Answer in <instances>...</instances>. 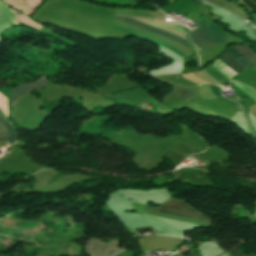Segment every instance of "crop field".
Segmentation results:
<instances>
[{"label":"crop field","instance_id":"crop-field-1","mask_svg":"<svg viewBox=\"0 0 256 256\" xmlns=\"http://www.w3.org/2000/svg\"><path fill=\"white\" fill-rule=\"evenodd\" d=\"M201 29H203L205 32L213 36L215 39H217L220 44L231 42L232 40L228 37V35L222 33L219 31L213 24L208 22L207 20L201 18L198 21H196ZM194 28L192 30H189L192 39L194 43H196L198 46L202 48V50L219 45L218 41L212 38L210 35L202 31L200 28Z\"/></svg>","mask_w":256,"mask_h":256},{"label":"crop field","instance_id":"crop-field-2","mask_svg":"<svg viewBox=\"0 0 256 256\" xmlns=\"http://www.w3.org/2000/svg\"><path fill=\"white\" fill-rule=\"evenodd\" d=\"M237 49H239L243 54H245L250 60H252L255 64V54L252 53L248 48L245 47H239L235 46ZM235 47L231 48L230 50L226 51L231 56H233L235 59H237L239 62H241L243 65H245L247 68L254 65L252 61H250L246 56H244L239 50H237ZM224 52V54L219 57L221 60H223L227 65H229L233 70H235L237 73L241 72L242 70L246 69L245 66H243L241 63H239L237 60H235L233 57H231L229 54ZM231 68H229L232 72L237 74L235 71H233Z\"/></svg>","mask_w":256,"mask_h":256},{"label":"crop field","instance_id":"crop-field-3","mask_svg":"<svg viewBox=\"0 0 256 256\" xmlns=\"http://www.w3.org/2000/svg\"><path fill=\"white\" fill-rule=\"evenodd\" d=\"M150 210L170 214V215H176V216H183V217H189L193 219L208 221L205 216L201 215L200 213L193 210L191 207H189L186 203H184L181 200L170 198L167 201H165L160 208H147Z\"/></svg>","mask_w":256,"mask_h":256},{"label":"crop field","instance_id":"crop-field-4","mask_svg":"<svg viewBox=\"0 0 256 256\" xmlns=\"http://www.w3.org/2000/svg\"><path fill=\"white\" fill-rule=\"evenodd\" d=\"M118 241H109L107 244L98 243V240L87 242L86 252L91 256H111L121 249H116Z\"/></svg>","mask_w":256,"mask_h":256},{"label":"crop field","instance_id":"crop-field-5","mask_svg":"<svg viewBox=\"0 0 256 256\" xmlns=\"http://www.w3.org/2000/svg\"><path fill=\"white\" fill-rule=\"evenodd\" d=\"M45 79L46 78L43 76L30 84H21V85L17 86L16 88H12L11 102L9 105L13 107V105L19 100V98L21 96L27 94L30 90L41 89L43 86H45L47 83H49Z\"/></svg>","mask_w":256,"mask_h":256},{"label":"crop field","instance_id":"crop-field-6","mask_svg":"<svg viewBox=\"0 0 256 256\" xmlns=\"http://www.w3.org/2000/svg\"><path fill=\"white\" fill-rule=\"evenodd\" d=\"M117 18H118V19L125 20V21L130 22V23H133V24L138 25V26H140V27H143V28H145V29L151 30V31L156 32V33H158V34H161V35H163V36H166V37H168V38H170V39H173V40H175V41H177V42H179V43H181V44H183V45H185V46L188 47V44H187V42H186L185 40H183V39H181V38H179V37H177V36H175V35H172V34H170V33L164 32V31L159 30V29H157V28H155V27H152V26H150V25L140 23V22L135 21V20H133V19H131V18H128V17L117 16ZM160 21H161V20H160ZM164 22H166V21H164ZM168 23H172V22H168ZM172 24H173V23H172Z\"/></svg>","mask_w":256,"mask_h":256},{"label":"crop field","instance_id":"crop-field-7","mask_svg":"<svg viewBox=\"0 0 256 256\" xmlns=\"http://www.w3.org/2000/svg\"><path fill=\"white\" fill-rule=\"evenodd\" d=\"M17 138L12 126L4 120L0 115V140H10V144L14 143Z\"/></svg>","mask_w":256,"mask_h":256},{"label":"crop field","instance_id":"crop-field-8","mask_svg":"<svg viewBox=\"0 0 256 256\" xmlns=\"http://www.w3.org/2000/svg\"><path fill=\"white\" fill-rule=\"evenodd\" d=\"M172 94L188 101L191 97H192V93L187 91V90H184L178 86H175L174 90L172 91Z\"/></svg>","mask_w":256,"mask_h":256},{"label":"crop field","instance_id":"crop-field-9","mask_svg":"<svg viewBox=\"0 0 256 256\" xmlns=\"http://www.w3.org/2000/svg\"><path fill=\"white\" fill-rule=\"evenodd\" d=\"M191 256H201L200 254H195V255H191Z\"/></svg>","mask_w":256,"mask_h":256},{"label":"crop field","instance_id":"crop-field-10","mask_svg":"<svg viewBox=\"0 0 256 256\" xmlns=\"http://www.w3.org/2000/svg\"><path fill=\"white\" fill-rule=\"evenodd\" d=\"M16 256H22L21 254H16Z\"/></svg>","mask_w":256,"mask_h":256}]
</instances>
